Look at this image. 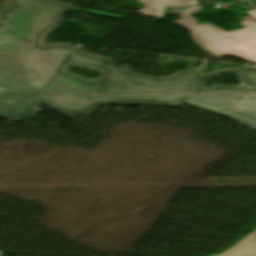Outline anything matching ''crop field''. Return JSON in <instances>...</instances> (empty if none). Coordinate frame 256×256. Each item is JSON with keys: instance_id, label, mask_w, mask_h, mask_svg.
Here are the masks:
<instances>
[{"instance_id": "crop-field-4", "label": "crop field", "mask_w": 256, "mask_h": 256, "mask_svg": "<svg viewBox=\"0 0 256 256\" xmlns=\"http://www.w3.org/2000/svg\"><path fill=\"white\" fill-rule=\"evenodd\" d=\"M201 10L200 7L190 8L182 13L175 24L190 30L194 43L215 57L220 59L231 55L256 64V20L248 16L243 18V30L225 32L210 24L196 25L198 20L189 15ZM185 17H189L185 19Z\"/></svg>"}, {"instance_id": "crop-field-9", "label": "crop field", "mask_w": 256, "mask_h": 256, "mask_svg": "<svg viewBox=\"0 0 256 256\" xmlns=\"http://www.w3.org/2000/svg\"><path fill=\"white\" fill-rule=\"evenodd\" d=\"M3 88H4V87L0 86V93L2 92Z\"/></svg>"}, {"instance_id": "crop-field-1", "label": "crop field", "mask_w": 256, "mask_h": 256, "mask_svg": "<svg viewBox=\"0 0 256 256\" xmlns=\"http://www.w3.org/2000/svg\"><path fill=\"white\" fill-rule=\"evenodd\" d=\"M48 81L42 89L85 93H134V92H190V93H256V68H231L213 71L203 75L201 68L180 70L162 79L146 76L133 71L110 67L108 58L85 53L69 46L37 47L32 56ZM92 68L102 71L99 80H86L64 72L69 65ZM220 73H236L240 77L239 87L219 85L203 88L204 79Z\"/></svg>"}, {"instance_id": "crop-field-5", "label": "crop field", "mask_w": 256, "mask_h": 256, "mask_svg": "<svg viewBox=\"0 0 256 256\" xmlns=\"http://www.w3.org/2000/svg\"><path fill=\"white\" fill-rule=\"evenodd\" d=\"M184 103L229 116L256 129V94H197Z\"/></svg>"}, {"instance_id": "crop-field-3", "label": "crop field", "mask_w": 256, "mask_h": 256, "mask_svg": "<svg viewBox=\"0 0 256 256\" xmlns=\"http://www.w3.org/2000/svg\"><path fill=\"white\" fill-rule=\"evenodd\" d=\"M195 94L136 93L124 95H71L46 91H27L5 87L0 94V115L15 121L34 116L46 104L67 117L92 112L104 103L180 105Z\"/></svg>"}, {"instance_id": "crop-field-8", "label": "crop field", "mask_w": 256, "mask_h": 256, "mask_svg": "<svg viewBox=\"0 0 256 256\" xmlns=\"http://www.w3.org/2000/svg\"><path fill=\"white\" fill-rule=\"evenodd\" d=\"M253 12V13H250V12ZM249 14H251L252 16L256 17V9L254 10H250V11H247Z\"/></svg>"}, {"instance_id": "crop-field-6", "label": "crop field", "mask_w": 256, "mask_h": 256, "mask_svg": "<svg viewBox=\"0 0 256 256\" xmlns=\"http://www.w3.org/2000/svg\"><path fill=\"white\" fill-rule=\"evenodd\" d=\"M146 6L137 13L142 16L162 18L165 6H189L196 0H139Z\"/></svg>"}, {"instance_id": "crop-field-10", "label": "crop field", "mask_w": 256, "mask_h": 256, "mask_svg": "<svg viewBox=\"0 0 256 256\" xmlns=\"http://www.w3.org/2000/svg\"><path fill=\"white\" fill-rule=\"evenodd\" d=\"M2 254V252H0V255Z\"/></svg>"}, {"instance_id": "crop-field-7", "label": "crop field", "mask_w": 256, "mask_h": 256, "mask_svg": "<svg viewBox=\"0 0 256 256\" xmlns=\"http://www.w3.org/2000/svg\"><path fill=\"white\" fill-rule=\"evenodd\" d=\"M216 256H256V231L228 251Z\"/></svg>"}, {"instance_id": "crop-field-2", "label": "crop field", "mask_w": 256, "mask_h": 256, "mask_svg": "<svg viewBox=\"0 0 256 256\" xmlns=\"http://www.w3.org/2000/svg\"><path fill=\"white\" fill-rule=\"evenodd\" d=\"M8 2L0 11V84L41 89L47 80L29 57L72 6L54 0Z\"/></svg>"}]
</instances>
